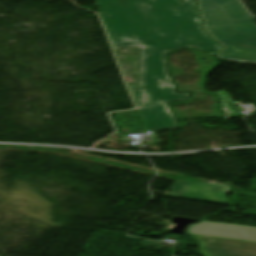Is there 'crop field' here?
Here are the masks:
<instances>
[{
	"label": "crop field",
	"instance_id": "412701ff",
	"mask_svg": "<svg viewBox=\"0 0 256 256\" xmlns=\"http://www.w3.org/2000/svg\"><path fill=\"white\" fill-rule=\"evenodd\" d=\"M205 256H256V243L192 235Z\"/></svg>",
	"mask_w": 256,
	"mask_h": 256
},
{
	"label": "crop field",
	"instance_id": "8a807250",
	"mask_svg": "<svg viewBox=\"0 0 256 256\" xmlns=\"http://www.w3.org/2000/svg\"><path fill=\"white\" fill-rule=\"evenodd\" d=\"M186 1L96 0L113 48H140V88L130 90L146 131L176 128L166 103L189 95L173 93L164 54L182 47L215 54L221 48L200 28L193 0Z\"/></svg>",
	"mask_w": 256,
	"mask_h": 256
},
{
	"label": "crop field",
	"instance_id": "ac0d7876",
	"mask_svg": "<svg viewBox=\"0 0 256 256\" xmlns=\"http://www.w3.org/2000/svg\"><path fill=\"white\" fill-rule=\"evenodd\" d=\"M204 28L224 45L219 58L256 65V48L237 43L256 38L255 19L239 0H198Z\"/></svg>",
	"mask_w": 256,
	"mask_h": 256
},
{
	"label": "crop field",
	"instance_id": "34b2d1b8",
	"mask_svg": "<svg viewBox=\"0 0 256 256\" xmlns=\"http://www.w3.org/2000/svg\"><path fill=\"white\" fill-rule=\"evenodd\" d=\"M228 186L201 182H175L168 197L226 204Z\"/></svg>",
	"mask_w": 256,
	"mask_h": 256
},
{
	"label": "crop field",
	"instance_id": "f4fd0767",
	"mask_svg": "<svg viewBox=\"0 0 256 256\" xmlns=\"http://www.w3.org/2000/svg\"><path fill=\"white\" fill-rule=\"evenodd\" d=\"M241 45L256 47V39L243 42Z\"/></svg>",
	"mask_w": 256,
	"mask_h": 256
}]
</instances>
